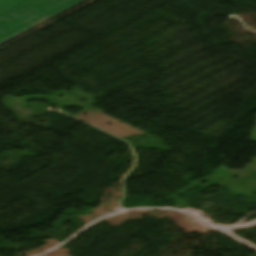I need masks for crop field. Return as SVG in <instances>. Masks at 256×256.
<instances>
[{
	"label": "crop field",
	"instance_id": "crop-field-1",
	"mask_svg": "<svg viewBox=\"0 0 256 256\" xmlns=\"http://www.w3.org/2000/svg\"><path fill=\"white\" fill-rule=\"evenodd\" d=\"M86 0H0V45Z\"/></svg>",
	"mask_w": 256,
	"mask_h": 256
}]
</instances>
